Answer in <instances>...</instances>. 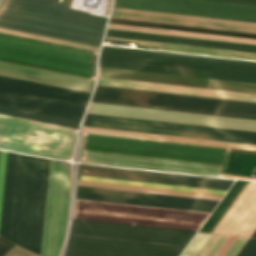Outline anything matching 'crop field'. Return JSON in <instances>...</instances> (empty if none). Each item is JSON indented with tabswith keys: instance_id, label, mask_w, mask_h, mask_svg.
<instances>
[{
	"instance_id": "d9b57169",
	"label": "crop field",
	"mask_w": 256,
	"mask_h": 256,
	"mask_svg": "<svg viewBox=\"0 0 256 256\" xmlns=\"http://www.w3.org/2000/svg\"><path fill=\"white\" fill-rule=\"evenodd\" d=\"M75 175L125 179L134 181L174 184L183 186L213 188L228 190L229 186L234 180L231 179H217L208 177H199L182 174L151 172L120 168H89L82 167L76 169Z\"/></svg>"
},
{
	"instance_id": "028f5c9d",
	"label": "crop field",
	"mask_w": 256,
	"mask_h": 256,
	"mask_svg": "<svg viewBox=\"0 0 256 256\" xmlns=\"http://www.w3.org/2000/svg\"><path fill=\"white\" fill-rule=\"evenodd\" d=\"M228 237L229 236L218 235V237L215 239V241L212 243V245L209 247V249L203 256H214L217 253V251L221 248V246L225 243V241L228 239Z\"/></svg>"
},
{
	"instance_id": "c21b1889",
	"label": "crop field",
	"mask_w": 256,
	"mask_h": 256,
	"mask_svg": "<svg viewBox=\"0 0 256 256\" xmlns=\"http://www.w3.org/2000/svg\"><path fill=\"white\" fill-rule=\"evenodd\" d=\"M205 1H214V2H223V3H233V4L256 6V0H205Z\"/></svg>"
},
{
	"instance_id": "5a996713",
	"label": "crop field",
	"mask_w": 256,
	"mask_h": 256,
	"mask_svg": "<svg viewBox=\"0 0 256 256\" xmlns=\"http://www.w3.org/2000/svg\"><path fill=\"white\" fill-rule=\"evenodd\" d=\"M75 129L0 115V148L69 159Z\"/></svg>"
},
{
	"instance_id": "b54c1fbb",
	"label": "crop field",
	"mask_w": 256,
	"mask_h": 256,
	"mask_svg": "<svg viewBox=\"0 0 256 256\" xmlns=\"http://www.w3.org/2000/svg\"><path fill=\"white\" fill-rule=\"evenodd\" d=\"M12 246L13 244L0 238V256L5 254Z\"/></svg>"
},
{
	"instance_id": "730fd06b",
	"label": "crop field",
	"mask_w": 256,
	"mask_h": 256,
	"mask_svg": "<svg viewBox=\"0 0 256 256\" xmlns=\"http://www.w3.org/2000/svg\"><path fill=\"white\" fill-rule=\"evenodd\" d=\"M109 23L256 39V34L111 18Z\"/></svg>"
},
{
	"instance_id": "f4fd0767",
	"label": "crop field",
	"mask_w": 256,
	"mask_h": 256,
	"mask_svg": "<svg viewBox=\"0 0 256 256\" xmlns=\"http://www.w3.org/2000/svg\"><path fill=\"white\" fill-rule=\"evenodd\" d=\"M97 52L0 33V60L94 79Z\"/></svg>"
},
{
	"instance_id": "3316defc",
	"label": "crop field",
	"mask_w": 256,
	"mask_h": 256,
	"mask_svg": "<svg viewBox=\"0 0 256 256\" xmlns=\"http://www.w3.org/2000/svg\"><path fill=\"white\" fill-rule=\"evenodd\" d=\"M84 125L256 144V132L87 114Z\"/></svg>"
},
{
	"instance_id": "5866460e",
	"label": "crop field",
	"mask_w": 256,
	"mask_h": 256,
	"mask_svg": "<svg viewBox=\"0 0 256 256\" xmlns=\"http://www.w3.org/2000/svg\"><path fill=\"white\" fill-rule=\"evenodd\" d=\"M103 47L256 64V62H252V61H242V60H232V59H222V58H212V57H202V56H192V55H182V54H175V53H169V52H160V51L135 50V49L111 47V46H107V45H103Z\"/></svg>"
},
{
	"instance_id": "1d83c4d3",
	"label": "crop field",
	"mask_w": 256,
	"mask_h": 256,
	"mask_svg": "<svg viewBox=\"0 0 256 256\" xmlns=\"http://www.w3.org/2000/svg\"><path fill=\"white\" fill-rule=\"evenodd\" d=\"M81 179L133 184V185H143V186H153V187H162V188H172V189H181V190L201 191V192H210V193H220V194H225L226 192L222 190H212V189H202V188H192V187H182V186H172V185H162V184H152V183H141V182H131V181H121V180H111V179H101V178H91V177H81Z\"/></svg>"
},
{
	"instance_id": "d3111659",
	"label": "crop field",
	"mask_w": 256,
	"mask_h": 256,
	"mask_svg": "<svg viewBox=\"0 0 256 256\" xmlns=\"http://www.w3.org/2000/svg\"><path fill=\"white\" fill-rule=\"evenodd\" d=\"M246 183V181L242 180H236V182L233 184V186L230 188L228 193L225 195V197L222 199V201L219 203L217 208L214 210V212L211 214L209 219L206 221V223L203 225V227L200 229V231L204 232H210V230L213 228V226L216 224L218 219L221 217V215L224 213V211L227 209L229 204L232 202V200L235 198L237 193L240 191V189L243 187V185Z\"/></svg>"
},
{
	"instance_id": "e52e79f7",
	"label": "crop field",
	"mask_w": 256,
	"mask_h": 256,
	"mask_svg": "<svg viewBox=\"0 0 256 256\" xmlns=\"http://www.w3.org/2000/svg\"><path fill=\"white\" fill-rule=\"evenodd\" d=\"M210 213L75 199L73 218L198 231Z\"/></svg>"
},
{
	"instance_id": "28ad6ade",
	"label": "crop field",
	"mask_w": 256,
	"mask_h": 256,
	"mask_svg": "<svg viewBox=\"0 0 256 256\" xmlns=\"http://www.w3.org/2000/svg\"><path fill=\"white\" fill-rule=\"evenodd\" d=\"M72 177L64 162L51 160L42 256H58L67 223Z\"/></svg>"
},
{
	"instance_id": "5142ce71",
	"label": "crop field",
	"mask_w": 256,
	"mask_h": 256,
	"mask_svg": "<svg viewBox=\"0 0 256 256\" xmlns=\"http://www.w3.org/2000/svg\"><path fill=\"white\" fill-rule=\"evenodd\" d=\"M77 198L212 212L219 201L79 187Z\"/></svg>"
},
{
	"instance_id": "d32e631a",
	"label": "crop field",
	"mask_w": 256,
	"mask_h": 256,
	"mask_svg": "<svg viewBox=\"0 0 256 256\" xmlns=\"http://www.w3.org/2000/svg\"><path fill=\"white\" fill-rule=\"evenodd\" d=\"M75 185L92 186V187H101V188H111V189H120V190H130V191H139V192H149V193H159V194H168V195H178V196H187V197H197V198H206V199L221 200V198H218V197H208V196H198V195H188V194H178V193H168V192H158V191H148V190H139V189H129V188H119V187H109V186H99V185H89V184H79V183H75Z\"/></svg>"
},
{
	"instance_id": "4a817a6b",
	"label": "crop field",
	"mask_w": 256,
	"mask_h": 256,
	"mask_svg": "<svg viewBox=\"0 0 256 256\" xmlns=\"http://www.w3.org/2000/svg\"><path fill=\"white\" fill-rule=\"evenodd\" d=\"M100 76L256 93V84L99 67Z\"/></svg>"
},
{
	"instance_id": "dd49c442",
	"label": "crop field",
	"mask_w": 256,
	"mask_h": 256,
	"mask_svg": "<svg viewBox=\"0 0 256 256\" xmlns=\"http://www.w3.org/2000/svg\"><path fill=\"white\" fill-rule=\"evenodd\" d=\"M96 102L256 119V103L97 86Z\"/></svg>"
},
{
	"instance_id": "eef30255",
	"label": "crop field",
	"mask_w": 256,
	"mask_h": 256,
	"mask_svg": "<svg viewBox=\"0 0 256 256\" xmlns=\"http://www.w3.org/2000/svg\"><path fill=\"white\" fill-rule=\"evenodd\" d=\"M0 113L17 116V117H22V118H27V119H32V120H37V121L58 124V125H63V126H68V127H73V128L77 127V124L79 123L78 120H73V119H68V118H63V117H58V116H52V115H47V114H42V113L12 108V107H6V106H1V105H0Z\"/></svg>"
},
{
	"instance_id": "0bd39190",
	"label": "crop field",
	"mask_w": 256,
	"mask_h": 256,
	"mask_svg": "<svg viewBox=\"0 0 256 256\" xmlns=\"http://www.w3.org/2000/svg\"><path fill=\"white\" fill-rule=\"evenodd\" d=\"M6 156H7V152L0 150V211H1L4 175H5Z\"/></svg>"
},
{
	"instance_id": "d8731c3e",
	"label": "crop field",
	"mask_w": 256,
	"mask_h": 256,
	"mask_svg": "<svg viewBox=\"0 0 256 256\" xmlns=\"http://www.w3.org/2000/svg\"><path fill=\"white\" fill-rule=\"evenodd\" d=\"M91 94L0 76V104L81 119Z\"/></svg>"
},
{
	"instance_id": "bc2a9ffb",
	"label": "crop field",
	"mask_w": 256,
	"mask_h": 256,
	"mask_svg": "<svg viewBox=\"0 0 256 256\" xmlns=\"http://www.w3.org/2000/svg\"><path fill=\"white\" fill-rule=\"evenodd\" d=\"M111 17L256 33V24L114 8Z\"/></svg>"
},
{
	"instance_id": "34b2d1b8",
	"label": "crop field",
	"mask_w": 256,
	"mask_h": 256,
	"mask_svg": "<svg viewBox=\"0 0 256 256\" xmlns=\"http://www.w3.org/2000/svg\"><path fill=\"white\" fill-rule=\"evenodd\" d=\"M195 234L74 220L65 256H179Z\"/></svg>"
},
{
	"instance_id": "412701ff",
	"label": "crop field",
	"mask_w": 256,
	"mask_h": 256,
	"mask_svg": "<svg viewBox=\"0 0 256 256\" xmlns=\"http://www.w3.org/2000/svg\"><path fill=\"white\" fill-rule=\"evenodd\" d=\"M99 66L256 83V65L252 64L107 48L101 51Z\"/></svg>"
},
{
	"instance_id": "22f410ed",
	"label": "crop field",
	"mask_w": 256,
	"mask_h": 256,
	"mask_svg": "<svg viewBox=\"0 0 256 256\" xmlns=\"http://www.w3.org/2000/svg\"><path fill=\"white\" fill-rule=\"evenodd\" d=\"M87 113L256 131V120L92 102Z\"/></svg>"
},
{
	"instance_id": "b80d0937",
	"label": "crop field",
	"mask_w": 256,
	"mask_h": 256,
	"mask_svg": "<svg viewBox=\"0 0 256 256\" xmlns=\"http://www.w3.org/2000/svg\"><path fill=\"white\" fill-rule=\"evenodd\" d=\"M248 238L238 237L225 256H236Z\"/></svg>"
},
{
	"instance_id": "214f88e0",
	"label": "crop field",
	"mask_w": 256,
	"mask_h": 256,
	"mask_svg": "<svg viewBox=\"0 0 256 256\" xmlns=\"http://www.w3.org/2000/svg\"><path fill=\"white\" fill-rule=\"evenodd\" d=\"M255 230L256 182L251 181L214 233L251 237Z\"/></svg>"
},
{
	"instance_id": "4177f3b9",
	"label": "crop field",
	"mask_w": 256,
	"mask_h": 256,
	"mask_svg": "<svg viewBox=\"0 0 256 256\" xmlns=\"http://www.w3.org/2000/svg\"><path fill=\"white\" fill-rule=\"evenodd\" d=\"M106 38L124 40V41H133V42H137V45L154 46V47H157L159 50H165V51L186 52V53H196V54H206V55H216V56L256 60L255 53L236 52V51H227V50H218V49H209V48H200V47H191V46L110 38V37H106Z\"/></svg>"
},
{
	"instance_id": "d1516ede",
	"label": "crop field",
	"mask_w": 256,
	"mask_h": 256,
	"mask_svg": "<svg viewBox=\"0 0 256 256\" xmlns=\"http://www.w3.org/2000/svg\"><path fill=\"white\" fill-rule=\"evenodd\" d=\"M114 7L256 23V7L196 0H117Z\"/></svg>"
},
{
	"instance_id": "750c4746",
	"label": "crop field",
	"mask_w": 256,
	"mask_h": 256,
	"mask_svg": "<svg viewBox=\"0 0 256 256\" xmlns=\"http://www.w3.org/2000/svg\"><path fill=\"white\" fill-rule=\"evenodd\" d=\"M217 235L197 233L181 256H202Z\"/></svg>"
},
{
	"instance_id": "120bbe31",
	"label": "crop field",
	"mask_w": 256,
	"mask_h": 256,
	"mask_svg": "<svg viewBox=\"0 0 256 256\" xmlns=\"http://www.w3.org/2000/svg\"><path fill=\"white\" fill-rule=\"evenodd\" d=\"M78 182L223 197V195H220V194H210V193L180 191V190L161 189V188H151V187H141V186H131V185L112 184V183H102V182H92V181H82V180H78Z\"/></svg>"
},
{
	"instance_id": "03da06ac",
	"label": "crop field",
	"mask_w": 256,
	"mask_h": 256,
	"mask_svg": "<svg viewBox=\"0 0 256 256\" xmlns=\"http://www.w3.org/2000/svg\"><path fill=\"white\" fill-rule=\"evenodd\" d=\"M236 239L237 237L230 236L216 256H224Z\"/></svg>"
},
{
	"instance_id": "733c2abd",
	"label": "crop field",
	"mask_w": 256,
	"mask_h": 256,
	"mask_svg": "<svg viewBox=\"0 0 256 256\" xmlns=\"http://www.w3.org/2000/svg\"><path fill=\"white\" fill-rule=\"evenodd\" d=\"M57 1L58 0H3L0 4V9L104 29L107 18L68 9L69 6L59 4Z\"/></svg>"
},
{
	"instance_id": "c035e120",
	"label": "crop field",
	"mask_w": 256,
	"mask_h": 256,
	"mask_svg": "<svg viewBox=\"0 0 256 256\" xmlns=\"http://www.w3.org/2000/svg\"><path fill=\"white\" fill-rule=\"evenodd\" d=\"M4 256H37L17 246H13Z\"/></svg>"
},
{
	"instance_id": "cbeb9de0",
	"label": "crop field",
	"mask_w": 256,
	"mask_h": 256,
	"mask_svg": "<svg viewBox=\"0 0 256 256\" xmlns=\"http://www.w3.org/2000/svg\"><path fill=\"white\" fill-rule=\"evenodd\" d=\"M0 27L99 46L102 29L0 10Z\"/></svg>"
},
{
	"instance_id": "a9b5d70f",
	"label": "crop field",
	"mask_w": 256,
	"mask_h": 256,
	"mask_svg": "<svg viewBox=\"0 0 256 256\" xmlns=\"http://www.w3.org/2000/svg\"><path fill=\"white\" fill-rule=\"evenodd\" d=\"M82 132L117 135V136H127V137H137V138H147V139H156V140H165V141H173V142H182V143H191V144H200V145H209V146L256 151V145L204 140V139H195V138H186V137H177V136H168V135H159V134H150V133H141V132L88 127V126H84L82 129Z\"/></svg>"
},
{
	"instance_id": "ae1a2a85",
	"label": "crop field",
	"mask_w": 256,
	"mask_h": 256,
	"mask_svg": "<svg viewBox=\"0 0 256 256\" xmlns=\"http://www.w3.org/2000/svg\"><path fill=\"white\" fill-rule=\"evenodd\" d=\"M108 28L121 29V30H130V31H139V32H148V33H157V34L176 35V36H185V37H194V38H203V39H212V40H221V41H230V42H239V43H248V44H256V40H250V39L213 36V35L177 32V31L150 29V28H140V27L113 25V24H109Z\"/></svg>"
},
{
	"instance_id": "92a150f3",
	"label": "crop field",
	"mask_w": 256,
	"mask_h": 256,
	"mask_svg": "<svg viewBox=\"0 0 256 256\" xmlns=\"http://www.w3.org/2000/svg\"><path fill=\"white\" fill-rule=\"evenodd\" d=\"M98 85L256 102V94L100 77Z\"/></svg>"
},
{
	"instance_id": "dafd665d",
	"label": "crop field",
	"mask_w": 256,
	"mask_h": 256,
	"mask_svg": "<svg viewBox=\"0 0 256 256\" xmlns=\"http://www.w3.org/2000/svg\"><path fill=\"white\" fill-rule=\"evenodd\" d=\"M0 75L15 77L19 79L91 92L92 79L56 73L0 61Z\"/></svg>"
},
{
	"instance_id": "e1f06a70",
	"label": "crop field",
	"mask_w": 256,
	"mask_h": 256,
	"mask_svg": "<svg viewBox=\"0 0 256 256\" xmlns=\"http://www.w3.org/2000/svg\"><path fill=\"white\" fill-rule=\"evenodd\" d=\"M237 256H256V239L249 238Z\"/></svg>"
},
{
	"instance_id": "ac0d7876",
	"label": "crop field",
	"mask_w": 256,
	"mask_h": 256,
	"mask_svg": "<svg viewBox=\"0 0 256 256\" xmlns=\"http://www.w3.org/2000/svg\"><path fill=\"white\" fill-rule=\"evenodd\" d=\"M50 160L8 152L0 235L40 254ZM42 173H44L42 175Z\"/></svg>"
},
{
	"instance_id": "8a807250",
	"label": "crop field",
	"mask_w": 256,
	"mask_h": 256,
	"mask_svg": "<svg viewBox=\"0 0 256 256\" xmlns=\"http://www.w3.org/2000/svg\"><path fill=\"white\" fill-rule=\"evenodd\" d=\"M230 149L82 133L78 160L222 177Z\"/></svg>"
},
{
	"instance_id": "bd1437ed",
	"label": "crop field",
	"mask_w": 256,
	"mask_h": 256,
	"mask_svg": "<svg viewBox=\"0 0 256 256\" xmlns=\"http://www.w3.org/2000/svg\"><path fill=\"white\" fill-rule=\"evenodd\" d=\"M0 32L1 33H6V34H11V35H16V36H22V37L37 39V40H43V41H48V42H53V43H58V44H64V45L84 48V49L95 50V51H97V49H98V47H96V46H91V45H86V44H81V43H75V42H70V41L45 37V36H39V35H34V34L9 30V29L0 28Z\"/></svg>"
},
{
	"instance_id": "5d738f31",
	"label": "crop field",
	"mask_w": 256,
	"mask_h": 256,
	"mask_svg": "<svg viewBox=\"0 0 256 256\" xmlns=\"http://www.w3.org/2000/svg\"><path fill=\"white\" fill-rule=\"evenodd\" d=\"M252 237H256V231H255V233L252 235Z\"/></svg>"
},
{
	"instance_id": "00972430",
	"label": "crop field",
	"mask_w": 256,
	"mask_h": 256,
	"mask_svg": "<svg viewBox=\"0 0 256 256\" xmlns=\"http://www.w3.org/2000/svg\"><path fill=\"white\" fill-rule=\"evenodd\" d=\"M106 36L256 53V45H248V44H239V43H230V42H221V41H212V40H203V39H194V38L167 36V35H157V34L130 32V31H121V30H112V29H108Z\"/></svg>"
}]
</instances>
